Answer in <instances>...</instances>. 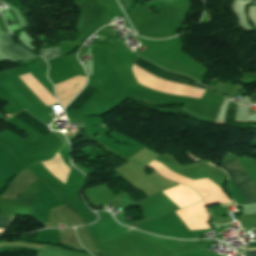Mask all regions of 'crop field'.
Returning a JSON list of instances; mask_svg holds the SVG:
<instances>
[{
    "label": "crop field",
    "instance_id": "8",
    "mask_svg": "<svg viewBox=\"0 0 256 256\" xmlns=\"http://www.w3.org/2000/svg\"><path fill=\"white\" fill-rule=\"evenodd\" d=\"M249 250V249H247ZM251 250H256V249H251ZM249 256H256V251H248Z\"/></svg>",
    "mask_w": 256,
    "mask_h": 256
},
{
    "label": "crop field",
    "instance_id": "4",
    "mask_svg": "<svg viewBox=\"0 0 256 256\" xmlns=\"http://www.w3.org/2000/svg\"><path fill=\"white\" fill-rule=\"evenodd\" d=\"M26 125L30 126L34 130L40 132L43 135H48L51 131L48 129V126L44 125L43 123L39 122L32 116H30L25 110L13 115Z\"/></svg>",
    "mask_w": 256,
    "mask_h": 256
},
{
    "label": "crop field",
    "instance_id": "2",
    "mask_svg": "<svg viewBox=\"0 0 256 256\" xmlns=\"http://www.w3.org/2000/svg\"><path fill=\"white\" fill-rule=\"evenodd\" d=\"M136 66L160 77L163 78L165 80H168L170 82H174V83H179V84H184V85H189V86H194V87H199V88H204L200 83L196 82L195 80L180 75V74H176V73H171V72H167L164 71L156 66H154L153 64L141 59L138 57L137 61L135 62Z\"/></svg>",
    "mask_w": 256,
    "mask_h": 256
},
{
    "label": "crop field",
    "instance_id": "6",
    "mask_svg": "<svg viewBox=\"0 0 256 256\" xmlns=\"http://www.w3.org/2000/svg\"><path fill=\"white\" fill-rule=\"evenodd\" d=\"M41 56H43L46 60L60 56L58 47L51 49H44L40 51Z\"/></svg>",
    "mask_w": 256,
    "mask_h": 256
},
{
    "label": "crop field",
    "instance_id": "10",
    "mask_svg": "<svg viewBox=\"0 0 256 256\" xmlns=\"http://www.w3.org/2000/svg\"><path fill=\"white\" fill-rule=\"evenodd\" d=\"M58 102H56V103H53V104H50V105H47V107H49V106H52V105H54V104H57Z\"/></svg>",
    "mask_w": 256,
    "mask_h": 256
},
{
    "label": "crop field",
    "instance_id": "3",
    "mask_svg": "<svg viewBox=\"0 0 256 256\" xmlns=\"http://www.w3.org/2000/svg\"><path fill=\"white\" fill-rule=\"evenodd\" d=\"M0 49L7 55L14 57L18 60H21L22 62L36 57L14 45V41L7 34L0 35Z\"/></svg>",
    "mask_w": 256,
    "mask_h": 256
},
{
    "label": "crop field",
    "instance_id": "9",
    "mask_svg": "<svg viewBox=\"0 0 256 256\" xmlns=\"http://www.w3.org/2000/svg\"><path fill=\"white\" fill-rule=\"evenodd\" d=\"M226 206H233L232 203H228V204H222L221 207H226Z\"/></svg>",
    "mask_w": 256,
    "mask_h": 256
},
{
    "label": "crop field",
    "instance_id": "1",
    "mask_svg": "<svg viewBox=\"0 0 256 256\" xmlns=\"http://www.w3.org/2000/svg\"><path fill=\"white\" fill-rule=\"evenodd\" d=\"M235 187L242 194L246 204L256 202V185L245 171L238 159H233L222 164Z\"/></svg>",
    "mask_w": 256,
    "mask_h": 256
},
{
    "label": "crop field",
    "instance_id": "5",
    "mask_svg": "<svg viewBox=\"0 0 256 256\" xmlns=\"http://www.w3.org/2000/svg\"><path fill=\"white\" fill-rule=\"evenodd\" d=\"M95 91L96 89L86 86L85 89L74 99V101L67 108L80 109Z\"/></svg>",
    "mask_w": 256,
    "mask_h": 256
},
{
    "label": "crop field",
    "instance_id": "7",
    "mask_svg": "<svg viewBox=\"0 0 256 256\" xmlns=\"http://www.w3.org/2000/svg\"><path fill=\"white\" fill-rule=\"evenodd\" d=\"M12 218H13V216L0 217V229L6 230V228L9 226Z\"/></svg>",
    "mask_w": 256,
    "mask_h": 256
}]
</instances>
